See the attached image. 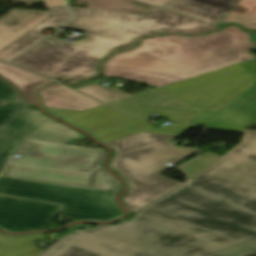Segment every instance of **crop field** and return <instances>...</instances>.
Here are the masks:
<instances>
[{
	"mask_svg": "<svg viewBox=\"0 0 256 256\" xmlns=\"http://www.w3.org/2000/svg\"><path fill=\"white\" fill-rule=\"evenodd\" d=\"M256 213L187 185L127 224L65 237L42 256H247Z\"/></svg>",
	"mask_w": 256,
	"mask_h": 256,
	"instance_id": "obj_1",
	"label": "crop field"
},
{
	"mask_svg": "<svg viewBox=\"0 0 256 256\" xmlns=\"http://www.w3.org/2000/svg\"><path fill=\"white\" fill-rule=\"evenodd\" d=\"M73 18L62 28L84 31L73 43L50 36L12 62L70 83L97 75L98 63L111 51L130 48L142 35L172 32L196 34L219 28L160 8L143 16L69 7Z\"/></svg>",
	"mask_w": 256,
	"mask_h": 256,
	"instance_id": "obj_2",
	"label": "crop field"
},
{
	"mask_svg": "<svg viewBox=\"0 0 256 256\" xmlns=\"http://www.w3.org/2000/svg\"><path fill=\"white\" fill-rule=\"evenodd\" d=\"M249 38L234 26L200 37L145 38L137 48L107 60L103 75L160 87L255 57Z\"/></svg>",
	"mask_w": 256,
	"mask_h": 256,
	"instance_id": "obj_3",
	"label": "crop field"
},
{
	"mask_svg": "<svg viewBox=\"0 0 256 256\" xmlns=\"http://www.w3.org/2000/svg\"><path fill=\"white\" fill-rule=\"evenodd\" d=\"M0 176L118 190L102 167L104 150L24 138Z\"/></svg>",
	"mask_w": 256,
	"mask_h": 256,
	"instance_id": "obj_4",
	"label": "crop field"
},
{
	"mask_svg": "<svg viewBox=\"0 0 256 256\" xmlns=\"http://www.w3.org/2000/svg\"><path fill=\"white\" fill-rule=\"evenodd\" d=\"M176 137L143 132L105 143L115 152L111 169L128 183V192L121 200L131 214L181 184L158 175L170 168L165 163L174 165L196 152L167 141Z\"/></svg>",
	"mask_w": 256,
	"mask_h": 256,
	"instance_id": "obj_5",
	"label": "crop field"
},
{
	"mask_svg": "<svg viewBox=\"0 0 256 256\" xmlns=\"http://www.w3.org/2000/svg\"><path fill=\"white\" fill-rule=\"evenodd\" d=\"M186 184L256 212V131Z\"/></svg>",
	"mask_w": 256,
	"mask_h": 256,
	"instance_id": "obj_6",
	"label": "crop field"
},
{
	"mask_svg": "<svg viewBox=\"0 0 256 256\" xmlns=\"http://www.w3.org/2000/svg\"><path fill=\"white\" fill-rule=\"evenodd\" d=\"M115 191L0 177V194L62 204L72 219L104 221L122 212L113 202Z\"/></svg>",
	"mask_w": 256,
	"mask_h": 256,
	"instance_id": "obj_7",
	"label": "crop field"
},
{
	"mask_svg": "<svg viewBox=\"0 0 256 256\" xmlns=\"http://www.w3.org/2000/svg\"><path fill=\"white\" fill-rule=\"evenodd\" d=\"M256 84V58L160 88L189 109L218 112Z\"/></svg>",
	"mask_w": 256,
	"mask_h": 256,
	"instance_id": "obj_8",
	"label": "crop field"
},
{
	"mask_svg": "<svg viewBox=\"0 0 256 256\" xmlns=\"http://www.w3.org/2000/svg\"><path fill=\"white\" fill-rule=\"evenodd\" d=\"M81 136L24 106L0 126V170L23 137L72 144Z\"/></svg>",
	"mask_w": 256,
	"mask_h": 256,
	"instance_id": "obj_9",
	"label": "crop field"
},
{
	"mask_svg": "<svg viewBox=\"0 0 256 256\" xmlns=\"http://www.w3.org/2000/svg\"><path fill=\"white\" fill-rule=\"evenodd\" d=\"M43 109L88 132L102 143L156 128L148 123L149 120L129 117L107 105L84 112Z\"/></svg>",
	"mask_w": 256,
	"mask_h": 256,
	"instance_id": "obj_10",
	"label": "crop field"
},
{
	"mask_svg": "<svg viewBox=\"0 0 256 256\" xmlns=\"http://www.w3.org/2000/svg\"><path fill=\"white\" fill-rule=\"evenodd\" d=\"M59 205L0 196V225L14 232L47 228Z\"/></svg>",
	"mask_w": 256,
	"mask_h": 256,
	"instance_id": "obj_11",
	"label": "crop field"
},
{
	"mask_svg": "<svg viewBox=\"0 0 256 256\" xmlns=\"http://www.w3.org/2000/svg\"><path fill=\"white\" fill-rule=\"evenodd\" d=\"M256 121V85L218 113L205 111L192 121L206 129L243 133Z\"/></svg>",
	"mask_w": 256,
	"mask_h": 256,
	"instance_id": "obj_12",
	"label": "crop field"
},
{
	"mask_svg": "<svg viewBox=\"0 0 256 256\" xmlns=\"http://www.w3.org/2000/svg\"><path fill=\"white\" fill-rule=\"evenodd\" d=\"M239 0H171L163 9L219 24Z\"/></svg>",
	"mask_w": 256,
	"mask_h": 256,
	"instance_id": "obj_13",
	"label": "crop field"
},
{
	"mask_svg": "<svg viewBox=\"0 0 256 256\" xmlns=\"http://www.w3.org/2000/svg\"><path fill=\"white\" fill-rule=\"evenodd\" d=\"M48 8L53 16L34 27L12 44L1 50L0 61L8 62L12 60L31 46L44 39L47 36L42 34L45 29H54L69 19V14L65 6H48Z\"/></svg>",
	"mask_w": 256,
	"mask_h": 256,
	"instance_id": "obj_14",
	"label": "crop field"
},
{
	"mask_svg": "<svg viewBox=\"0 0 256 256\" xmlns=\"http://www.w3.org/2000/svg\"><path fill=\"white\" fill-rule=\"evenodd\" d=\"M51 16L50 12L13 9L0 18V50Z\"/></svg>",
	"mask_w": 256,
	"mask_h": 256,
	"instance_id": "obj_15",
	"label": "crop field"
},
{
	"mask_svg": "<svg viewBox=\"0 0 256 256\" xmlns=\"http://www.w3.org/2000/svg\"><path fill=\"white\" fill-rule=\"evenodd\" d=\"M38 94L46 108L83 111L104 105L59 83L43 88Z\"/></svg>",
	"mask_w": 256,
	"mask_h": 256,
	"instance_id": "obj_16",
	"label": "crop field"
},
{
	"mask_svg": "<svg viewBox=\"0 0 256 256\" xmlns=\"http://www.w3.org/2000/svg\"><path fill=\"white\" fill-rule=\"evenodd\" d=\"M0 75L16 86L30 104L37 103L33 91L51 81L27 70L4 63H0Z\"/></svg>",
	"mask_w": 256,
	"mask_h": 256,
	"instance_id": "obj_17",
	"label": "crop field"
},
{
	"mask_svg": "<svg viewBox=\"0 0 256 256\" xmlns=\"http://www.w3.org/2000/svg\"><path fill=\"white\" fill-rule=\"evenodd\" d=\"M110 105L123 110L133 116H142L150 118L152 113H157V116L169 118L170 121H182L190 122L203 111L197 110H185V109H175L148 105H138L129 103L114 102Z\"/></svg>",
	"mask_w": 256,
	"mask_h": 256,
	"instance_id": "obj_18",
	"label": "crop field"
},
{
	"mask_svg": "<svg viewBox=\"0 0 256 256\" xmlns=\"http://www.w3.org/2000/svg\"><path fill=\"white\" fill-rule=\"evenodd\" d=\"M46 239L44 234L10 237L0 234V256H38L44 250L35 247L33 241Z\"/></svg>",
	"mask_w": 256,
	"mask_h": 256,
	"instance_id": "obj_19",
	"label": "crop field"
},
{
	"mask_svg": "<svg viewBox=\"0 0 256 256\" xmlns=\"http://www.w3.org/2000/svg\"><path fill=\"white\" fill-rule=\"evenodd\" d=\"M222 22L237 23L256 30V0H240Z\"/></svg>",
	"mask_w": 256,
	"mask_h": 256,
	"instance_id": "obj_20",
	"label": "crop field"
},
{
	"mask_svg": "<svg viewBox=\"0 0 256 256\" xmlns=\"http://www.w3.org/2000/svg\"><path fill=\"white\" fill-rule=\"evenodd\" d=\"M120 102H129V103H139V104H148V105H157V106H166V107H176V108H185L181 103L171 98L161 90L157 89L150 91L144 94H140L134 97H130Z\"/></svg>",
	"mask_w": 256,
	"mask_h": 256,
	"instance_id": "obj_21",
	"label": "crop field"
},
{
	"mask_svg": "<svg viewBox=\"0 0 256 256\" xmlns=\"http://www.w3.org/2000/svg\"><path fill=\"white\" fill-rule=\"evenodd\" d=\"M80 91L104 102H110L119 98H123L126 96H130L129 94L112 87L110 89H107L99 84L91 85L82 89H79Z\"/></svg>",
	"mask_w": 256,
	"mask_h": 256,
	"instance_id": "obj_22",
	"label": "crop field"
},
{
	"mask_svg": "<svg viewBox=\"0 0 256 256\" xmlns=\"http://www.w3.org/2000/svg\"><path fill=\"white\" fill-rule=\"evenodd\" d=\"M23 106L22 101L17 97V95L9 101L0 100V125Z\"/></svg>",
	"mask_w": 256,
	"mask_h": 256,
	"instance_id": "obj_23",
	"label": "crop field"
},
{
	"mask_svg": "<svg viewBox=\"0 0 256 256\" xmlns=\"http://www.w3.org/2000/svg\"><path fill=\"white\" fill-rule=\"evenodd\" d=\"M193 127L195 126L176 123L168 128H157V129L150 130L148 132L163 133V134H170V135H181L186 130Z\"/></svg>",
	"mask_w": 256,
	"mask_h": 256,
	"instance_id": "obj_24",
	"label": "crop field"
},
{
	"mask_svg": "<svg viewBox=\"0 0 256 256\" xmlns=\"http://www.w3.org/2000/svg\"><path fill=\"white\" fill-rule=\"evenodd\" d=\"M16 94L15 90L0 80V99L9 100Z\"/></svg>",
	"mask_w": 256,
	"mask_h": 256,
	"instance_id": "obj_25",
	"label": "crop field"
},
{
	"mask_svg": "<svg viewBox=\"0 0 256 256\" xmlns=\"http://www.w3.org/2000/svg\"><path fill=\"white\" fill-rule=\"evenodd\" d=\"M138 1H142V2H145V3H149V4H152V5L162 7L163 5H165L170 0H138Z\"/></svg>",
	"mask_w": 256,
	"mask_h": 256,
	"instance_id": "obj_26",
	"label": "crop field"
},
{
	"mask_svg": "<svg viewBox=\"0 0 256 256\" xmlns=\"http://www.w3.org/2000/svg\"><path fill=\"white\" fill-rule=\"evenodd\" d=\"M62 1L61 0H45L47 5H63L64 2L62 3Z\"/></svg>",
	"mask_w": 256,
	"mask_h": 256,
	"instance_id": "obj_27",
	"label": "crop field"
},
{
	"mask_svg": "<svg viewBox=\"0 0 256 256\" xmlns=\"http://www.w3.org/2000/svg\"><path fill=\"white\" fill-rule=\"evenodd\" d=\"M254 36L256 37V34H254Z\"/></svg>",
	"mask_w": 256,
	"mask_h": 256,
	"instance_id": "obj_28",
	"label": "crop field"
}]
</instances>
